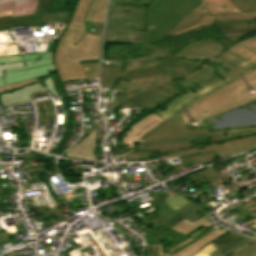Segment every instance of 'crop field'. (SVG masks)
<instances>
[{"label": "crop field", "instance_id": "8a807250", "mask_svg": "<svg viewBox=\"0 0 256 256\" xmlns=\"http://www.w3.org/2000/svg\"><path fill=\"white\" fill-rule=\"evenodd\" d=\"M215 23L230 26L221 31L226 34L223 36V40L219 41L226 49L185 77L191 90L196 88L192 82L200 84L195 91L201 97L256 67V36L242 42L237 41L245 34L256 30V12L213 17L206 15L193 26L170 35L180 36L192 31L207 29Z\"/></svg>", "mask_w": 256, "mask_h": 256}, {"label": "crop field", "instance_id": "ac0d7876", "mask_svg": "<svg viewBox=\"0 0 256 256\" xmlns=\"http://www.w3.org/2000/svg\"><path fill=\"white\" fill-rule=\"evenodd\" d=\"M201 3L202 0H112L104 42L160 40Z\"/></svg>", "mask_w": 256, "mask_h": 256}, {"label": "crop field", "instance_id": "34b2d1b8", "mask_svg": "<svg viewBox=\"0 0 256 256\" xmlns=\"http://www.w3.org/2000/svg\"><path fill=\"white\" fill-rule=\"evenodd\" d=\"M102 37L85 33V27L68 24L54 55L61 81L86 78L79 61L99 60Z\"/></svg>", "mask_w": 256, "mask_h": 256}, {"label": "crop field", "instance_id": "412701ff", "mask_svg": "<svg viewBox=\"0 0 256 256\" xmlns=\"http://www.w3.org/2000/svg\"><path fill=\"white\" fill-rule=\"evenodd\" d=\"M114 90L122 94L115 97L113 108L143 106L155 109L180 93L169 75L133 82L119 79Z\"/></svg>", "mask_w": 256, "mask_h": 256}, {"label": "crop field", "instance_id": "f4fd0767", "mask_svg": "<svg viewBox=\"0 0 256 256\" xmlns=\"http://www.w3.org/2000/svg\"><path fill=\"white\" fill-rule=\"evenodd\" d=\"M209 137L208 134L172 141L141 142L138 151L158 150L151 155L175 158L185 155L215 151L219 159L256 146V135L214 142L210 146L189 144L190 140Z\"/></svg>", "mask_w": 256, "mask_h": 256}, {"label": "crop field", "instance_id": "dd49c442", "mask_svg": "<svg viewBox=\"0 0 256 256\" xmlns=\"http://www.w3.org/2000/svg\"><path fill=\"white\" fill-rule=\"evenodd\" d=\"M253 87L256 88V69L238 81L210 94L180 115L185 124L198 120V125H205L202 119L256 97L254 94L246 93Z\"/></svg>", "mask_w": 256, "mask_h": 256}, {"label": "crop field", "instance_id": "e52e79f7", "mask_svg": "<svg viewBox=\"0 0 256 256\" xmlns=\"http://www.w3.org/2000/svg\"><path fill=\"white\" fill-rule=\"evenodd\" d=\"M160 62L164 66L153 69H146L142 71L129 72L126 74H122L123 68L102 65L100 86H115L119 78L133 81L165 74H170L171 79L178 78L193 72L195 69L203 64L197 62H186L183 60H178L176 58H168Z\"/></svg>", "mask_w": 256, "mask_h": 256}, {"label": "crop field", "instance_id": "d8731c3e", "mask_svg": "<svg viewBox=\"0 0 256 256\" xmlns=\"http://www.w3.org/2000/svg\"><path fill=\"white\" fill-rule=\"evenodd\" d=\"M209 133L211 138L201 139L191 141V144L200 143L204 141L210 140L211 142L225 140L235 137H241L251 134H256V127H248V128H240V129H232V130H223V131H213L208 132V129H200V130H190L186 131L180 116H177L167 123L163 124L159 128L153 130L147 137H145L142 141H156V140H172L185 138L195 135H201Z\"/></svg>", "mask_w": 256, "mask_h": 256}, {"label": "crop field", "instance_id": "5a996713", "mask_svg": "<svg viewBox=\"0 0 256 256\" xmlns=\"http://www.w3.org/2000/svg\"><path fill=\"white\" fill-rule=\"evenodd\" d=\"M53 53L40 55H26L0 58V63L24 61L25 67L3 71L4 78H0V86L5 84L32 79L56 71L53 65Z\"/></svg>", "mask_w": 256, "mask_h": 256}, {"label": "crop field", "instance_id": "3316defc", "mask_svg": "<svg viewBox=\"0 0 256 256\" xmlns=\"http://www.w3.org/2000/svg\"><path fill=\"white\" fill-rule=\"evenodd\" d=\"M247 110H244L243 108ZM219 119L216 121V119ZM209 129L220 130L228 128H236L243 126L256 125V101L253 100L249 103L233 108L221 114L203 120ZM187 129H195L205 126H193L187 124Z\"/></svg>", "mask_w": 256, "mask_h": 256}, {"label": "crop field", "instance_id": "28ad6ade", "mask_svg": "<svg viewBox=\"0 0 256 256\" xmlns=\"http://www.w3.org/2000/svg\"><path fill=\"white\" fill-rule=\"evenodd\" d=\"M205 3L198 6L193 12L187 15L174 29L170 32L183 30L202 16L209 13V15L240 13V10L230 0H203ZM169 33V34H170Z\"/></svg>", "mask_w": 256, "mask_h": 256}, {"label": "crop field", "instance_id": "d1516ede", "mask_svg": "<svg viewBox=\"0 0 256 256\" xmlns=\"http://www.w3.org/2000/svg\"><path fill=\"white\" fill-rule=\"evenodd\" d=\"M222 50H224V48L219 44V42H217L215 39H208L189 44L175 54L174 57L205 60L211 59L215 55L219 54Z\"/></svg>", "mask_w": 256, "mask_h": 256}, {"label": "crop field", "instance_id": "22f410ed", "mask_svg": "<svg viewBox=\"0 0 256 256\" xmlns=\"http://www.w3.org/2000/svg\"><path fill=\"white\" fill-rule=\"evenodd\" d=\"M224 231L215 230L208 234L207 236L203 237L202 239L198 240L197 242L191 244L190 246L186 247L185 249L179 251L173 256H193L197 253L203 246L211 243L216 238L221 236ZM192 239L178 245L177 247L173 248L172 250L162 254V245H147V256H169L168 253L177 249L178 247L184 245L185 243L191 241Z\"/></svg>", "mask_w": 256, "mask_h": 256}, {"label": "crop field", "instance_id": "cbeb9de0", "mask_svg": "<svg viewBox=\"0 0 256 256\" xmlns=\"http://www.w3.org/2000/svg\"><path fill=\"white\" fill-rule=\"evenodd\" d=\"M163 122H165V120L155 113L148 116L146 119L139 121L137 124L133 125L132 130L127 133L122 145L129 144V146H126L125 148L132 149L138 140L143 138L152 129L158 127ZM119 152L121 153L122 151Z\"/></svg>", "mask_w": 256, "mask_h": 256}, {"label": "crop field", "instance_id": "5142ce71", "mask_svg": "<svg viewBox=\"0 0 256 256\" xmlns=\"http://www.w3.org/2000/svg\"><path fill=\"white\" fill-rule=\"evenodd\" d=\"M145 238L148 244H163V253L189 239L186 235L165 226L145 236Z\"/></svg>", "mask_w": 256, "mask_h": 256}, {"label": "crop field", "instance_id": "d9b57169", "mask_svg": "<svg viewBox=\"0 0 256 256\" xmlns=\"http://www.w3.org/2000/svg\"><path fill=\"white\" fill-rule=\"evenodd\" d=\"M184 81H186V80H184ZM177 82H180V80L174 81V83H177ZM182 85H184L183 88H186L188 86L187 82L184 84L182 83L181 86ZM188 89L185 90V91H187L186 94H183V95L175 98L173 101H171L170 103L167 104V106H166L167 111L163 112L158 109L155 111V113H157L158 115H160L163 119H165L167 121L168 119H170L173 116L180 113L182 110H184L186 107H188L195 100L201 98V97L197 96L195 93H193L192 91H188ZM189 97H191V99H189ZM179 106H181V107H179Z\"/></svg>", "mask_w": 256, "mask_h": 256}, {"label": "crop field", "instance_id": "733c2abd", "mask_svg": "<svg viewBox=\"0 0 256 256\" xmlns=\"http://www.w3.org/2000/svg\"><path fill=\"white\" fill-rule=\"evenodd\" d=\"M96 131L90 133L80 143L72 147L66 154L65 157H70L78 160L94 161L95 154L93 149L96 146Z\"/></svg>", "mask_w": 256, "mask_h": 256}, {"label": "crop field", "instance_id": "4a817a6b", "mask_svg": "<svg viewBox=\"0 0 256 256\" xmlns=\"http://www.w3.org/2000/svg\"><path fill=\"white\" fill-rule=\"evenodd\" d=\"M209 212H211V211L208 210L207 208H205L204 206H202L201 204H199L198 202L192 200L187 205H185L184 207H182L181 209H179L177 211V213H179L181 216L170 221L168 224H166V226L171 228L174 225H176L177 223L184 220L185 218L192 222V221L200 218L202 215H205Z\"/></svg>", "mask_w": 256, "mask_h": 256}, {"label": "crop field", "instance_id": "bc2a9ffb", "mask_svg": "<svg viewBox=\"0 0 256 256\" xmlns=\"http://www.w3.org/2000/svg\"><path fill=\"white\" fill-rule=\"evenodd\" d=\"M250 239L252 238H246L242 235L231 232L228 235H226L224 238H222L221 240L213 244L216 247L219 256H225L229 253L231 249L235 248L239 244L246 242Z\"/></svg>", "mask_w": 256, "mask_h": 256}, {"label": "crop field", "instance_id": "214f88e0", "mask_svg": "<svg viewBox=\"0 0 256 256\" xmlns=\"http://www.w3.org/2000/svg\"><path fill=\"white\" fill-rule=\"evenodd\" d=\"M137 50H142V52H146V51L147 52H149V51L152 52L151 49L146 48L145 45H141V44L137 45V46L136 45H131L130 47H128V46H119V47H115L113 50H110L109 52H110L111 56L116 57L115 61L124 62L126 59H128V56H130V55H128L129 52L137 51ZM152 53H154L155 55L170 54L169 51L164 52L162 50V48H161V51H156V52H152ZM104 54H105V52H103V59L106 60L105 57H104Z\"/></svg>", "mask_w": 256, "mask_h": 256}, {"label": "crop field", "instance_id": "92a150f3", "mask_svg": "<svg viewBox=\"0 0 256 256\" xmlns=\"http://www.w3.org/2000/svg\"><path fill=\"white\" fill-rule=\"evenodd\" d=\"M108 4L107 0H94L85 20L105 23Z\"/></svg>", "mask_w": 256, "mask_h": 256}, {"label": "crop field", "instance_id": "dafd665d", "mask_svg": "<svg viewBox=\"0 0 256 256\" xmlns=\"http://www.w3.org/2000/svg\"><path fill=\"white\" fill-rule=\"evenodd\" d=\"M14 2L12 17L33 14L37 6V0H0V4Z\"/></svg>", "mask_w": 256, "mask_h": 256}, {"label": "crop field", "instance_id": "00972430", "mask_svg": "<svg viewBox=\"0 0 256 256\" xmlns=\"http://www.w3.org/2000/svg\"><path fill=\"white\" fill-rule=\"evenodd\" d=\"M93 0H78L70 24L85 26L84 18Z\"/></svg>", "mask_w": 256, "mask_h": 256}, {"label": "crop field", "instance_id": "a9b5d70f", "mask_svg": "<svg viewBox=\"0 0 256 256\" xmlns=\"http://www.w3.org/2000/svg\"><path fill=\"white\" fill-rule=\"evenodd\" d=\"M199 226L210 228L214 225L203 216L199 220H197L193 223H191L185 219L178 225L174 226L173 229H175L183 234L188 235L192 231H194L196 228H198Z\"/></svg>", "mask_w": 256, "mask_h": 256}, {"label": "crop field", "instance_id": "4177f3b9", "mask_svg": "<svg viewBox=\"0 0 256 256\" xmlns=\"http://www.w3.org/2000/svg\"><path fill=\"white\" fill-rule=\"evenodd\" d=\"M190 181H192L195 185L203 183V182H209L210 184L214 181L218 180L220 175L215 171L213 167L209 169H205L197 174H194L190 177H187Z\"/></svg>", "mask_w": 256, "mask_h": 256}, {"label": "crop field", "instance_id": "730fd06b", "mask_svg": "<svg viewBox=\"0 0 256 256\" xmlns=\"http://www.w3.org/2000/svg\"><path fill=\"white\" fill-rule=\"evenodd\" d=\"M135 64L133 65L132 63ZM134 62H127L124 65V70L123 73L129 72V71H136V70H142L146 68H152V67H158L162 66L158 60L155 58H149L145 60H139V61H134Z\"/></svg>", "mask_w": 256, "mask_h": 256}, {"label": "crop field", "instance_id": "eef30255", "mask_svg": "<svg viewBox=\"0 0 256 256\" xmlns=\"http://www.w3.org/2000/svg\"><path fill=\"white\" fill-rule=\"evenodd\" d=\"M43 17L42 14L27 15L21 17L12 18V27L19 26H42Z\"/></svg>", "mask_w": 256, "mask_h": 256}, {"label": "crop field", "instance_id": "ae1a2a85", "mask_svg": "<svg viewBox=\"0 0 256 256\" xmlns=\"http://www.w3.org/2000/svg\"><path fill=\"white\" fill-rule=\"evenodd\" d=\"M182 162L183 166L186 165H192L197 163H209L215 160H218V157L216 156L215 152L213 154L201 156L200 154L197 155H191V156H185L179 158Z\"/></svg>", "mask_w": 256, "mask_h": 256}, {"label": "crop field", "instance_id": "d3111659", "mask_svg": "<svg viewBox=\"0 0 256 256\" xmlns=\"http://www.w3.org/2000/svg\"><path fill=\"white\" fill-rule=\"evenodd\" d=\"M189 200H186L183 196H179L177 194L170 195L163 203L170 206L172 209L177 211L179 208L188 203Z\"/></svg>", "mask_w": 256, "mask_h": 256}, {"label": "crop field", "instance_id": "750c4746", "mask_svg": "<svg viewBox=\"0 0 256 256\" xmlns=\"http://www.w3.org/2000/svg\"><path fill=\"white\" fill-rule=\"evenodd\" d=\"M241 12L256 10V0H231Z\"/></svg>", "mask_w": 256, "mask_h": 256}, {"label": "crop field", "instance_id": "bd1437ed", "mask_svg": "<svg viewBox=\"0 0 256 256\" xmlns=\"http://www.w3.org/2000/svg\"><path fill=\"white\" fill-rule=\"evenodd\" d=\"M87 78L98 77L99 63L81 64Z\"/></svg>", "mask_w": 256, "mask_h": 256}, {"label": "crop field", "instance_id": "1d83c4d3", "mask_svg": "<svg viewBox=\"0 0 256 256\" xmlns=\"http://www.w3.org/2000/svg\"><path fill=\"white\" fill-rule=\"evenodd\" d=\"M85 23L86 32L102 36L105 24L88 21H85ZM91 29H93L94 31H92Z\"/></svg>", "mask_w": 256, "mask_h": 256}, {"label": "crop field", "instance_id": "120bbe31", "mask_svg": "<svg viewBox=\"0 0 256 256\" xmlns=\"http://www.w3.org/2000/svg\"><path fill=\"white\" fill-rule=\"evenodd\" d=\"M154 213L158 214L159 216L163 217L164 219H166L168 221L179 216V214H177L175 211H173L171 208H169L166 205Z\"/></svg>", "mask_w": 256, "mask_h": 256}, {"label": "crop field", "instance_id": "d32e631a", "mask_svg": "<svg viewBox=\"0 0 256 256\" xmlns=\"http://www.w3.org/2000/svg\"><path fill=\"white\" fill-rule=\"evenodd\" d=\"M36 81H39V79L35 78V79H32V80H28V81L8 84V85H6V87H0V93H4V91L14 90V89L19 88V87H24V86L29 85L31 83H34Z\"/></svg>", "mask_w": 256, "mask_h": 256}, {"label": "crop field", "instance_id": "5866460e", "mask_svg": "<svg viewBox=\"0 0 256 256\" xmlns=\"http://www.w3.org/2000/svg\"><path fill=\"white\" fill-rule=\"evenodd\" d=\"M52 1L53 0H38V6L35 14L48 12L52 6Z\"/></svg>", "mask_w": 256, "mask_h": 256}, {"label": "crop field", "instance_id": "028f5c9d", "mask_svg": "<svg viewBox=\"0 0 256 256\" xmlns=\"http://www.w3.org/2000/svg\"><path fill=\"white\" fill-rule=\"evenodd\" d=\"M209 256H218L217 252L214 251ZM236 256H256V243L249 246L248 248L242 250L238 255Z\"/></svg>", "mask_w": 256, "mask_h": 256}, {"label": "crop field", "instance_id": "e1f06a70", "mask_svg": "<svg viewBox=\"0 0 256 256\" xmlns=\"http://www.w3.org/2000/svg\"><path fill=\"white\" fill-rule=\"evenodd\" d=\"M256 242V239H253L251 241H248L246 243H243L241 245H239L238 247H236L234 250L230 251V253L227 256H235L236 254H238L242 249L248 247L249 245L253 244Z\"/></svg>", "mask_w": 256, "mask_h": 256}, {"label": "crop field", "instance_id": "0bd39190", "mask_svg": "<svg viewBox=\"0 0 256 256\" xmlns=\"http://www.w3.org/2000/svg\"><path fill=\"white\" fill-rule=\"evenodd\" d=\"M215 249L213 244H209L208 246L203 247L201 251H199L197 254L194 256H208L210 253H212Z\"/></svg>", "mask_w": 256, "mask_h": 256}, {"label": "crop field", "instance_id": "b80d0937", "mask_svg": "<svg viewBox=\"0 0 256 256\" xmlns=\"http://www.w3.org/2000/svg\"><path fill=\"white\" fill-rule=\"evenodd\" d=\"M24 66L23 62L0 64V77H3L2 70Z\"/></svg>", "mask_w": 256, "mask_h": 256}, {"label": "crop field", "instance_id": "c035e120", "mask_svg": "<svg viewBox=\"0 0 256 256\" xmlns=\"http://www.w3.org/2000/svg\"><path fill=\"white\" fill-rule=\"evenodd\" d=\"M211 231H213V230H212V229L207 230L206 232H204L203 234H201L200 236H198L197 238H195L193 241H191V242L185 244L184 246L178 248L177 250H175V251L169 253V255L171 256V255L175 254V253L178 252L179 250H181V249L185 248L186 246L190 245L191 243L197 241L198 239L202 238L203 236H205L206 234L210 233Z\"/></svg>", "mask_w": 256, "mask_h": 256}, {"label": "crop field", "instance_id": "c21b1889", "mask_svg": "<svg viewBox=\"0 0 256 256\" xmlns=\"http://www.w3.org/2000/svg\"><path fill=\"white\" fill-rule=\"evenodd\" d=\"M216 185L224 186L228 191L226 194L233 192V190L227 185V183L222 178L219 179L218 181L214 182L213 184H211V186H213V187H215Z\"/></svg>", "mask_w": 256, "mask_h": 256}, {"label": "crop field", "instance_id": "03da06ac", "mask_svg": "<svg viewBox=\"0 0 256 256\" xmlns=\"http://www.w3.org/2000/svg\"><path fill=\"white\" fill-rule=\"evenodd\" d=\"M12 6H13V3L0 5V12L10 11V10H12Z\"/></svg>", "mask_w": 256, "mask_h": 256}, {"label": "crop field", "instance_id": "b54c1fbb", "mask_svg": "<svg viewBox=\"0 0 256 256\" xmlns=\"http://www.w3.org/2000/svg\"><path fill=\"white\" fill-rule=\"evenodd\" d=\"M0 241H8V233L0 234Z\"/></svg>", "mask_w": 256, "mask_h": 256}, {"label": "crop field", "instance_id": "5d738f31", "mask_svg": "<svg viewBox=\"0 0 256 256\" xmlns=\"http://www.w3.org/2000/svg\"><path fill=\"white\" fill-rule=\"evenodd\" d=\"M254 223V224H252ZM249 227L253 228V229H256V219L253 220V221H250L248 223H246Z\"/></svg>", "mask_w": 256, "mask_h": 256}, {"label": "crop field", "instance_id": "d23c7cc5", "mask_svg": "<svg viewBox=\"0 0 256 256\" xmlns=\"http://www.w3.org/2000/svg\"><path fill=\"white\" fill-rule=\"evenodd\" d=\"M249 216H250L251 218L255 217V216H256V212L249 214Z\"/></svg>", "mask_w": 256, "mask_h": 256}, {"label": "crop field", "instance_id": "425ffa30", "mask_svg": "<svg viewBox=\"0 0 256 256\" xmlns=\"http://www.w3.org/2000/svg\"><path fill=\"white\" fill-rule=\"evenodd\" d=\"M139 256H145V253L144 254H140Z\"/></svg>", "mask_w": 256, "mask_h": 256}]
</instances>
